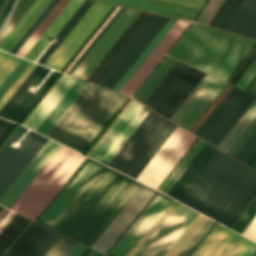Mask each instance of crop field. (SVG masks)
<instances>
[{
	"instance_id": "obj_1",
	"label": "crop field",
	"mask_w": 256,
	"mask_h": 256,
	"mask_svg": "<svg viewBox=\"0 0 256 256\" xmlns=\"http://www.w3.org/2000/svg\"><path fill=\"white\" fill-rule=\"evenodd\" d=\"M102 167L90 163V162ZM56 198V202L45 211L42 220L54 224L51 226L40 219L38 222L71 237L89 247L101 235L122 207L127 203L141 183L102 166L92 160ZM142 186V185H141Z\"/></svg>"
},
{
	"instance_id": "obj_2",
	"label": "crop field",
	"mask_w": 256,
	"mask_h": 256,
	"mask_svg": "<svg viewBox=\"0 0 256 256\" xmlns=\"http://www.w3.org/2000/svg\"><path fill=\"white\" fill-rule=\"evenodd\" d=\"M255 192L256 172L219 151L180 202L228 227Z\"/></svg>"
},
{
	"instance_id": "obj_3",
	"label": "crop field",
	"mask_w": 256,
	"mask_h": 256,
	"mask_svg": "<svg viewBox=\"0 0 256 256\" xmlns=\"http://www.w3.org/2000/svg\"><path fill=\"white\" fill-rule=\"evenodd\" d=\"M128 98L88 83L46 136L84 154Z\"/></svg>"
},
{
	"instance_id": "obj_4",
	"label": "crop field",
	"mask_w": 256,
	"mask_h": 256,
	"mask_svg": "<svg viewBox=\"0 0 256 256\" xmlns=\"http://www.w3.org/2000/svg\"><path fill=\"white\" fill-rule=\"evenodd\" d=\"M255 45L256 41L194 23L169 56L227 81Z\"/></svg>"
},
{
	"instance_id": "obj_5",
	"label": "crop field",
	"mask_w": 256,
	"mask_h": 256,
	"mask_svg": "<svg viewBox=\"0 0 256 256\" xmlns=\"http://www.w3.org/2000/svg\"><path fill=\"white\" fill-rule=\"evenodd\" d=\"M85 159L61 146L10 209L36 221Z\"/></svg>"
},
{
	"instance_id": "obj_6",
	"label": "crop field",
	"mask_w": 256,
	"mask_h": 256,
	"mask_svg": "<svg viewBox=\"0 0 256 256\" xmlns=\"http://www.w3.org/2000/svg\"><path fill=\"white\" fill-rule=\"evenodd\" d=\"M176 126L150 110L108 166L136 179Z\"/></svg>"
},
{
	"instance_id": "obj_7",
	"label": "crop field",
	"mask_w": 256,
	"mask_h": 256,
	"mask_svg": "<svg viewBox=\"0 0 256 256\" xmlns=\"http://www.w3.org/2000/svg\"><path fill=\"white\" fill-rule=\"evenodd\" d=\"M25 130L18 125L0 147V197L48 141L29 130L17 149L11 147V143L17 142Z\"/></svg>"
},
{
	"instance_id": "obj_8",
	"label": "crop field",
	"mask_w": 256,
	"mask_h": 256,
	"mask_svg": "<svg viewBox=\"0 0 256 256\" xmlns=\"http://www.w3.org/2000/svg\"><path fill=\"white\" fill-rule=\"evenodd\" d=\"M255 98L233 86L194 134L217 147Z\"/></svg>"
},
{
	"instance_id": "obj_9",
	"label": "crop field",
	"mask_w": 256,
	"mask_h": 256,
	"mask_svg": "<svg viewBox=\"0 0 256 256\" xmlns=\"http://www.w3.org/2000/svg\"><path fill=\"white\" fill-rule=\"evenodd\" d=\"M197 138L177 126L137 180L158 189Z\"/></svg>"
},
{
	"instance_id": "obj_10",
	"label": "crop field",
	"mask_w": 256,
	"mask_h": 256,
	"mask_svg": "<svg viewBox=\"0 0 256 256\" xmlns=\"http://www.w3.org/2000/svg\"><path fill=\"white\" fill-rule=\"evenodd\" d=\"M198 214L178 203L135 256H164Z\"/></svg>"
},
{
	"instance_id": "obj_11",
	"label": "crop field",
	"mask_w": 256,
	"mask_h": 256,
	"mask_svg": "<svg viewBox=\"0 0 256 256\" xmlns=\"http://www.w3.org/2000/svg\"><path fill=\"white\" fill-rule=\"evenodd\" d=\"M110 7V5L94 2L50 58L45 62L44 66L60 70Z\"/></svg>"
},
{
	"instance_id": "obj_12",
	"label": "crop field",
	"mask_w": 256,
	"mask_h": 256,
	"mask_svg": "<svg viewBox=\"0 0 256 256\" xmlns=\"http://www.w3.org/2000/svg\"><path fill=\"white\" fill-rule=\"evenodd\" d=\"M157 191L142 186L132 196L92 248L106 254Z\"/></svg>"
},
{
	"instance_id": "obj_13",
	"label": "crop field",
	"mask_w": 256,
	"mask_h": 256,
	"mask_svg": "<svg viewBox=\"0 0 256 256\" xmlns=\"http://www.w3.org/2000/svg\"><path fill=\"white\" fill-rule=\"evenodd\" d=\"M226 85L207 75L170 120L189 130Z\"/></svg>"
},
{
	"instance_id": "obj_14",
	"label": "crop field",
	"mask_w": 256,
	"mask_h": 256,
	"mask_svg": "<svg viewBox=\"0 0 256 256\" xmlns=\"http://www.w3.org/2000/svg\"><path fill=\"white\" fill-rule=\"evenodd\" d=\"M242 237L218 224L192 256H247L256 244Z\"/></svg>"
},
{
	"instance_id": "obj_15",
	"label": "crop field",
	"mask_w": 256,
	"mask_h": 256,
	"mask_svg": "<svg viewBox=\"0 0 256 256\" xmlns=\"http://www.w3.org/2000/svg\"><path fill=\"white\" fill-rule=\"evenodd\" d=\"M138 13L139 11L125 8L116 21L99 40V42L95 45V47L91 50V52L87 55V57L74 71L73 75L86 79L90 72L95 68L103 56L108 52L116 40L138 15Z\"/></svg>"
},
{
	"instance_id": "obj_16",
	"label": "crop field",
	"mask_w": 256,
	"mask_h": 256,
	"mask_svg": "<svg viewBox=\"0 0 256 256\" xmlns=\"http://www.w3.org/2000/svg\"><path fill=\"white\" fill-rule=\"evenodd\" d=\"M159 195L172 201V199L160 193ZM169 203L170 201L157 195L150 205L139 216V218L134 222V224L123 235V237L112 248L110 253L116 256H126L149 229V227L154 223V221L159 217V215L164 211V209L169 205ZM110 253H108V256H114Z\"/></svg>"
},
{
	"instance_id": "obj_17",
	"label": "crop field",
	"mask_w": 256,
	"mask_h": 256,
	"mask_svg": "<svg viewBox=\"0 0 256 256\" xmlns=\"http://www.w3.org/2000/svg\"><path fill=\"white\" fill-rule=\"evenodd\" d=\"M205 76L188 66L153 110L170 119Z\"/></svg>"
},
{
	"instance_id": "obj_18",
	"label": "crop field",
	"mask_w": 256,
	"mask_h": 256,
	"mask_svg": "<svg viewBox=\"0 0 256 256\" xmlns=\"http://www.w3.org/2000/svg\"><path fill=\"white\" fill-rule=\"evenodd\" d=\"M190 22L178 20L154 51L144 61L131 79L121 89L120 93L131 96L137 87L142 83L158 61L163 57L179 35L184 31Z\"/></svg>"
},
{
	"instance_id": "obj_19",
	"label": "crop field",
	"mask_w": 256,
	"mask_h": 256,
	"mask_svg": "<svg viewBox=\"0 0 256 256\" xmlns=\"http://www.w3.org/2000/svg\"><path fill=\"white\" fill-rule=\"evenodd\" d=\"M168 19V17L157 15L107 78L102 82L101 86L112 89Z\"/></svg>"
},
{
	"instance_id": "obj_20",
	"label": "crop field",
	"mask_w": 256,
	"mask_h": 256,
	"mask_svg": "<svg viewBox=\"0 0 256 256\" xmlns=\"http://www.w3.org/2000/svg\"><path fill=\"white\" fill-rule=\"evenodd\" d=\"M60 145L48 141L37 156L31 161L6 193L1 197L0 204L10 207L21 192L27 187L42 167L48 162L52 155L57 151Z\"/></svg>"
},
{
	"instance_id": "obj_21",
	"label": "crop field",
	"mask_w": 256,
	"mask_h": 256,
	"mask_svg": "<svg viewBox=\"0 0 256 256\" xmlns=\"http://www.w3.org/2000/svg\"><path fill=\"white\" fill-rule=\"evenodd\" d=\"M50 71L51 69L43 67L42 70L28 85V87L14 102V104L4 114L3 118L19 123L20 120L25 116V114L30 110L34 103L39 99V97L44 93V91L59 74V72L53 71L36 93L28 91L31 86L37 88Z\"/></svg>"
},
{
	"instance_id": "obj_22",
	"label": "crop field",
	"mask_w": 256,
	"mask_h": 256,
	"mask_svg": "<svg viewBox=\"0 0 256 256\" xmlns=\"http://www.w3.org/2000/svg\"><path fill=\"white\" fill-rule=\"evenodd\" d=\"M102 2L117 4L121 6L141 9L145 11L160 13L164 15L193 20L198 8L169 3L160 0H98Z\"/></svg>"
},
{
	"instance_id": "obj_23",
	"label": "crop field",
	"mask_w": 256,
	"mask_h": 256,
	"mask_svg": "<svg viewBox=\"0 0 256 256\" xmlns=\"http://www.w3.org/2000/svg\"><path fill=\"white\" fill-rule=\"evenodd\" d=\"M218 151L219 150L206 143L172 188L168 191L167 195L179 201Z\"/></svg>"
},
{
	"instance_id": "obj_24",
	"label": "crop field",
	"mask_w": 256,
	"mask_h": 256,
	"mask_svg": "<svg viewBox=\"0 0 256 256\" xmlns=\"http://www.w3.org/2000/svg\"><path fill=\"white\" fill-rule=\"evenodd\" d=\"M142 107L143 105L132 100L94 150L90 153L89 157L100 162L136 117Z\"/></svg>"
},
{
	"instance_id": "obj_25",
	"label": "crop field",
	"mask_w": 256,
	"mask_h": 256,
	"mask_svg": "<svg viewBox=\"0 0 256 256\" xmlns=\"http://www.w3.org/2000/svg\"><path fill=\"white\" fill-rule=\"evenodd\" d=\"M75 80L76 78L63 74L22 125L35 131Z\"/></svg>"
},
{
	"instance_id": "obj_26",
	"label": "crop field",
	"mask_w": 256,
	"mask_h": 256,
	"mask_svg": "<svg viewBox=\"0 0 256 256\" xmlns=\"http://www.w3.org/2000/svg\"><path fill=\"white\" fill-rule=\"evenodd\" d=\"M224 30L256 39V0H243Z\"/></svg>"
},
{
	"instance_id": "obj_27",
	"label": "crop field",
	"mask_w": 256,
	"mask_h": 256,
	"mask_svg": "<svg viewBox=\"0 0 256 256\" xmlns=\"http://www.w3.org/2000/svg\"><path fill=\"white\" fill-rule=\"evenodd\" d=\"M83 1L84 0H71L63 9V11L58 15V17L54 20V22L49 26V28L44 32V34L40 37V39L35 43L31 50L26 54L25 58L35 61L50 43L49 41H47L50 36L54 37L56 35V33L72 16V14L77 10V8L82 4Z\"/></svg>"
},
{
	"instance_id": "obj_28",
	"label": "crop field",
	"mask_w": 256,
	"mask_h": 256,
	"mask_svg": "<svg viewBox=\"0 0 256 256\" xmlns=\"http://www.w3.org/2000/svg\"><path fill=\"white\" fill-rule=\"evenodd\" d=\"M50 1L51 0H37L0 44V49L9 52L45 7L50 3Z\"/></svg>"
},
{
	"instance_id": "obj_29",
	"label": "crop field",
	"mask_w": 256,
	"mask_h": 256,
	"mask_svg": "<svg viewBox=\"0 0 256 256\" xmlns=\"http://www.w3.org/2000/svg\"><path fill=\"white\" fill-rule=\"evenodd\" d=\"M47 228L31 221L3 256H26Z\"/></svg>"
},
{
	"instance_id": "obj_30",
	"label": "crop field",
	"mask_w": 256,
	"mask_h": 256,
	"mask_svg": "<svg viewBox=\"0 0 256 256\" xmlns=\"http://www.w3.org/2000/svg\"><path fill=\"white\" fill-rule=\"evenodd\" d=\"M186 67L187 65L176 61L142 103L153 109Z\"/></svg>"
},
{
	"instance_id": "obj_31",
	"label": "crop field",
	"mask_w": 256,
	"mask_h": 256,
	"mask_svg": "<svg viewBox=\"0 0 256 256\" xmlns=\"http://www.w3.org/2000/svg\"><path fill=\"white\" fill-rule=\"evenodd\" d=\"M176 19L170 18L169 21L164 25L160 32L155 36L151 43L146 47L142 54L137 58V60L132 64L128 71L123 75L119 82L114 86L113 90L119 92L120 89L125 85V83L130 79L134 72L139 68L143 61L148 57V55L153 51L157 44L162 40L166 33L171 29V27L176 23Z\"/></svg>"
},
{
	"instance_id": "obj_32",
	"label": "crop field",
	"mask_w": 256,
	"mask_h": 256,
	"mask_svg": "<svg viewBox=\"0 0 256 256\" xmlns=\"http://www.w3.org/2000/svg\"><path fill=\"white\" fill-rule=\"evenodd\" d=\"M155 14L149 13L148 16L143 20L135 32L130 36L122 48L117 52L113 59L108 63L100 75L95 79L94 83L100 85L101 82L106 78L110 71L115 67L119 60L124 56L132 44L137 40L141 33L146 29L150 22L155 18Z\"/></svg>"
},
{
	"instance_id": "obj_33",
	"label": "crop field",
	"mask_w": 256,
	"mask_h": 256,
	"mask_svg": "<svg viewBox=\"0 0 256 256\" xmlns=\"http://www.w3.org/2000/svg\"><path fill=\"white\" fill-rule=\"evenodd\" d=\"M147 14L148 13L145 12L139 13V15L130 24V26L126 29V31L122 34L118 41L113 45V47L109 50V52L105 55V57L101 60L97 67L88 76V78L86 79L87 81H94V79L99 75V73L103 70L107 63L112 59V57L116 54L120 47L129 38V36L134 32V30L138 27L142 20L147 16Z\"/></svg>"
},
{
	"instance_id": "obj_34",
	"label": "crop field",
	"mask_w": 256,
	"mask_h": 256,
	"mask_svg": "<svg viewBox=\"0 0 256 256\" xmlns=\"http://www.w3.org/2000/svg\"><path fill=\"white\" fill-rule=\"evenodd\" d=\"M255 117L256 100L252 103V105L248 108L240 120L235 124V126L231 129L223 141L219 144L218 148L227 152Z\"/></svg>"
},
{
	"instance_id": "obj_35",
	"label": "crop field",
	"mask_w": 256,
	"mask_h": 256,
	"mask_svg": "<svg viewBox=\"0 0 256 256\" xmlns=\"http://www.w3.org/2000/svg\"><path fill=\"white\" fill-rule=\"evenodd\" d=\"M70 0H59L54 8L49 12L45 19L40 23L36 30L31 34L23 46L18 50L16 55L24 57L29 51L36 40L41 36V34L46 30V28L51 24V22L56 18V16L61 12V10L66 6Z\"/></svg>"
},
{
	"instance_id": "obj_36",
	"label": "crop field",
	"mask_w": 256,
	"mask_h": 256,
	"mask_svg": "<svg viewBox=\"0 0 256 256\" xmlns=\"http://www.w3.org/2000/svg\"><path fill=\"white\" fill-rule=\"evenodd\" d=\"M92 1L85 0L84 3L79 7V9L75 12V14L70 18V20L66 23V25L62 28V30L57 34L56 42L54 44H50V46L46 49V51L42 54V56L38 59L37 63L43 65L44 62L48 59V57L53 53V51L57 48V46L61 43V41L66 37V35L70 32V30L74 27V25L79 21V19L83 16V14L87 11V9L92 5Z\"/></svg>"
},
{
	"instance_id": "obj_37",
	"label": "crop field",
	"mask_w": 256,
	"mask_h": 256,
	"mask_svg": "<svg viewBox=\"0 0 256 256\" xmlns=\"http://www.w3.org/2000/svg\"><path fill=\"white\" fill-rule=\"evenodd\" d=\"M241 1L242 0H224L209 25L224 29Z\"/></svg>"
},
{
	"instance_id": "obj_38",
	"label": "crop field",
	"mask_w": 256,
	"mask_h": 256,
	"mask_svg": "<svg viewBox=\"0 0 256 256\" xmlns=\"http://www.w3.org/2000/svg\"><path fill=\"white\" fill-rule=\"evenodd\" d=\"M36 0H19L17 6L0 32V43L8 35V33L13 29V27L18 23L22 16L27 12V10L32 6Z\"/></svg>"
},
{
	"instance_id": "obj_39",
	"label": "crop field",
	"mask_w": 256,
	"mask_h": 256,
	"mask_svg": "<svg viewBox=\"0 0 256 256\" xmlns=\"http://www.w3.org/2000/svg\"><path fill=\"white\" fill-rule=\"evenodd\" d=\"M27 219L15 214L9 223L0 232V253L26 223Z\"/></svg>"
},
{
	"instance_id": "obj_40",
	"label": "crop field",
	"mask_w": 256,
	"mask_h": 256,
	"mask_svg": "<svg viewBox=\"0 0 256 256\" xmlns=\"http://www.w3.org/2000/svg\"><path fill=\"white\" fill-rule=\"evenodd\" d=\"M175 60L167 57L162 65L157 69L145 86L136 95L135 99L143 101V99L148 95V93L153 89V87L158 83V81L163 77V75L168 71V69L173 65Z\"/></svg>"
},
{
	"instance_id": "obj_41",
	"label": "crop field",
	"mask_w": 256,
	"mask_h": 256,
	"mask_svg": "<svg viewBox=\"0 0 256 256\" xmlns=\"http://www.w3.org/2000/svg\"><path fill=\"white\" fill-rule=\"evenodd\" d=\"M146 111H149L147 107L144 106ZM141 110V112L138 114V116L134 119V121L130 124V126L127 128V130L123 133V135L120 137V139L116 142V144L113 146V148L109 151V153L106 155L104 160L110 161V159L114 156V154L118 151V149L122 146V144L126 141V139L130 136V134L134 131V129L137 127V125L141 122V120L145 117V115L148 113L145 110ZM102 163L107 165V162L102 161Z\"/></svg>"
},
{
	"instance_id": "obj_42",
	"label": "crop field",
	"mask_w": 256,
	"mask_h": 256,
	"mask_svg": "<svg viewBox=\"0 0 256 256\" xmlns=\"http://www.w3.org/2000/svg\"><path fill=\"white\" fill-rule=\"evenodd\" d=\"M205 142L199 141V143L195 146V148L191 151V153L187 156V158L183 161V163L178 167V169L174 172V174L170 177V179L166 182V184L162 187L160 191L163 193H167V191L171 188L174 182L178 179V177L182 174L185 168L189 165V163L193 160V158L197 155L200 149L204 146Z\"/></svg>"
},
{
	"instance_id": "obj_43",
	"label": "crop field",
	"mask_w": 256,
	"mask_h": 256,
	"mask_svg": "<svg viewBox=\"0 0 256 256\" xmlns=\"http://www.w3.org/2000/svg\"><path fill=\"white\" fill-rule=\"evenodd\" d=\"M76 242L60 235L43 256H66Z\"/></svg>"
},
{
	"instance_id": "obj_44",
	"label": "crop field",
	"mask_w": 256,
	"mask_h": 256,
	"mask_svg": "<svg viewBox=\"0 0 256 256\" xmlns=\"http://www.w3.org/2000/svg\"><path fill=\"white\" fill-rule=\"evenodd\" d=\"M256 157V132L251 136V138L246 142V144L241 148V150L236 154L234 158L240 160L246 165L250 163Z\"/></svg>"
},
{
	"instance_id": "obj_45",
	"label": "crop field",
	"mask_w": 256,
	"mask_h": 256,
	"mask_svg": "<svg viewBox=\"0 0 256 256\" xmlns=\"http://www.w3.org/2000/svg\"><path fill=\"white\" fill-rule=\"evenodd\" d=\"M58 236L59 234L48 229L27 256H42Z\"/></svg>"
},
{
	"instance_id": "obj_46",
	"label": "crop field",
	"mask_w": 256,
	"mask_h": 256,
	"mask_svg": "<svg viewBox=\"0 0 256 256\" xmlns=\"http://www.w3.org/2000/svg\"><path fill=\"white\" fill-rule=\"evenodd\" d=\"M214 224L215 222L208 219L178 256H188L198 245V243L203 239V237L208 233V231L213 227Z\"/></svg>"
},
{
	"instance_id": "obj_47",
	"label": "crop field",
	"mask_w": 256,
	"mask_h": 256,
	"mask_svg": "<svg viewBox=\"0 0 256 256\" xmlns=\"http://www.w3.org/2000/svg\"><path fill=\"white\" fill-rule=\"evenodd\" d=\"M30 61L21 59L12 72L7 76V78L0 85V98L5 94L9 87L14 83V81L19 77V75L24 71V69L29 65Z\"/></svg>"
},
{
	"instance_id": "obj_48",
	"label": "crop field",
	"mask_w": 256,
	"mask_h": 256,
	"mask_svg": "<svg viewBox=\"0 0 256 256\" xmlns=\"http://www.w3.org/2000/svg\"><path fill=\"white\" fill-rule=\"evenodd\" d=\"M20 58L0 51V84L19 62Z\"/></svg>"
},
{
	"instance_id": "obj_49",
	"label": "crop field",
	"mask_w": 256,
	"mask_h": 256,
	"mask_svg": "<svg viewBox=\"0 0 256 256\" xmlns=\"http://www.w3.org/2000/svg\"><path fill=\"white\" fill-rule=\"evenodd\" d=\"M222 2L223 0H209L200 15L198 16L196 22L208 25Z\"/></svg>"
},
{
	"instance_id": "obj_50",
	"label": "crop field",
	"mask_w": 256,
	"mask_h": 256,
	"mask_svg": "<svg viewBox=\"0 0 256 256\" xmlns=\"http://www.w3.org/2000/svg\"><path fill=\"white\" fill-rule=\"evenodd\" d=\"M42 66L37 65L36 68L31 72V74L26 78L22 85L17 89V91L12 95L8 102L0 110V117L8 110V108L13 104L17 97L22 93V91L27 87L31 80L36 76V74L41 70ZM23 88V89H21Z\"/></svg>"
},
{
	"instance_id": "obj_51",
	"label": "crop field",
	"mask_w": 256,
	"mask_h": 256,
	"mask_svg": "<svg viewBox=\"0 0 256 256\" xmlns=\"http://www.w3.org/2000/svg\"><path fill=\"white\" fill-rule=\"evenodd\" d=\"M178 202L172 201V203L167 207V209L162 213V215L157 219L153 226L148 230V232L143 236L139 243L134 247V249L129 253L128 256H133L138 249L143 245L147 238L152 234V232L157 228V226L162 222V220L170 213V211L175 207Z\"/></svg>"
},
{
	"instance_id": "obj_52",
	"label": "crop field",
	"mask_w": 256,
	"mask_h": 256,
	"mask_svg": "<svg viewBox=\"0 0 256 256\" xmlns=\"http://www.w3.org/2000/svg\"><path fill=\"white\" fill-rule=\"evenodd\" d=\"M256 130V118L253 122L248 126V128L243 132V134L239 137V139L234 143V145L229 149L227 153L231 156H235V154L240 150V148L245 144V142L250 138V136Z\"/></svg>"
},
{
	"instance_id": "obj_53",
	"label": "crop field",
	"mask_w": 256,
	"mask_h": 256,
	"mask_svg": "<svg viewBox=\"0 0 256 256\" xmlns=\"http://www.w3.org/2000/svg\"><path fill=\"white\" fill-rule=\"evenodd\" d=\"M36 64L30 63V65L25 69V71L20 75V77L15 81L11 88L6 92V94L0 100V109L11 97V95L16 91V89L21 85L25 78L30 74V72L35 68Z\"/></svg>"
},
{
	"instance_id": "obj_54",
	"label": "crop field",
	"mask_w": 256,
	"mask_h": 256,
	"mask_svg": "<svg viewBox=\"0 0 256 256\" xmlns=\"http://www.w3.org/2000/svg\"><path fill=\"white\" fill-rule=\"evenodd\" d=\"M58 0H53L49 6L45 9V11L41 14V16L36 20V22L32 25V27L27 31V33L23 36V38L19 41V43L14 47V49L10 52L15 54L16 51L21 47V45L25 42V40L30 36V34L34 31V29L38 26V24L43 20V18L47 15V13L52 9V7L56 4ZM58 3V2H57ZM54 8V7H53ZM49 14V13H48ZM45 19V18H44ZM36 30V29H35ZM27 41V40H26ZM23 46V45H22ZM18 52V51H17Z\"/></svg>"
},
{
	"instance_id": "obj_55",
	"label": "crop field",
	"mask_w": 256,
	"mask_h": 256,
	"mask_svg": "<svg viewBox=\"0 0 256 256\" xmlns=\"http://www.w3.org/2000/svg\"><path fill=\"white\" fill-rule=\"evenodd\" d=\"M255 74H256V59L245 71V73L240 77V79L236 82L235 86L244 89L245 86L250 82V80L254 77Z\"/></svg>"
},
{
	"instance_id": "obj_56",
	"label": "crop field",
	"mask_w": 256,
	"mask_h": 256,
	"mask_svg": "<svg viewBox=\"0 0 256 256\" xmlns=\"http://www.w3.org/2000/svg\"><path fill=\"white\" fill-rule=\"evenodd\" d=\"M256 215V201L253 204V206L250 208V210L247 212V214L244 216V218L241 220V222L238 224V226L235 228V231L239 233H243V231L246 229V227L249 225V223L252 221V219Z\"/></svg>"
},
{
	"instance_id": "obj_57",
	"label": "crop field",
	"mask_w": 256,
	"mask_h": 256,
	"mask_svg": "<svg viewBox=\"0 0 256 256\" xmlns=\"http://www.w3.org/2000/svg\"><path fill=\"white\" fill-rule=\"evenodd\" d=\"M256 58V48L251 53V55L247 58V60L242 64V66L238 69V71L234 74V76L230 79L229 83L235 84V82L239 79V77L244 73V71L248 68V66L252 63V61Z\"/></svg>"
},
{
	"instance_id": "obj_58",
	"label": "crop field",
	"mask_w": 256,
	"mask_h": 256,
	"mask_svg": "<svg viewBox=\"0 0 256 256\" xmlns=\"http://www.w3.org/2000/svg\"><path fill=\"white\" fill-rule=\"evenodd\" d=\"M242 235L256 242V217L253 219V221L250 223V225L247 227Z\"/></svg>"
},
{
	"instance_id": "obj_59",
	"label": "crop field",
	"mask_w": 256,
	"mask_h": 256,
	"mask_svg": "<svg viewBox=\"0 0 256 256\" xmlns=\"http://www.w3.org/2000/svg\"><path fill=\"white\" fill-rule=\"evenodd\" d=\"M165 1L189 5V6L198 7V8H201L203 3L205 2V0H165Z\"/></svg>"
},
{
	"instance_id": "obj_60",
	"label": "crop field",
	"mask_w": 256,
	"mask_h": 256,
	"mask_svg": "<svg viewBox=\"0 0 256 256\" xmlns=\"http://www.w3.org/2000/svg\"><path fill=\"white\" fill-rule=\"evenodd\" d=\"M8 212H9V210H7V209H5V208L2 209V211L0 212V222L4 219V217L8 214ZM10 213H11V211L9 212V214H10ZM9 214L5 217V219L9 216ZM14 214H15V213L12 212V213L10 214V216H9L6 220L4 219V220H5L4 223H3L4 220L1 222V224H2V223H3V224H2V225L0 224V225H1V226H0V231H1V230L3 229V227L8 223V221L13 217Z\"/></svg>"
},
{
	"instance_id": "obj_61",
	"label": "crop field",
	"mask_w": 256,
	"mask_h": 256,
	"mask_svg": "<svg viewBox=\"0 0 256 256\" xmlns=\"http://www.w3.org/2000/svg\"><path fill=\"white\" fill-rule=\"evenodd\" d=\"M15 123L9 122L8 125L0 133V143L5 139V137L10 133V131L15 127Z\"/></svg>"
},
{
	"instance_id": "obj_62",
	"label": "crop field",
	"mask_w": 256,
	"mask_h": 256,
	"mask_svg": "<svg viewBox=\"0 0 256 256\" xmlns=\"http://www.w3.org/2000/svg\"><path fill=\"white\" fill-rule=\"evenodd\" d=\"M255 200H256V195L251 200V202L247 205V207L244 209V211L241 213V215L238 217L235 223L232 225L231 229L234 230V228L237 226V224L240 222V220L243 218V216L246 214V212L249 210V208L251 207V205L254 203Z\"/></svg>"
},
{
	"instance_id": "obj_63",
	"label": "crop field",
	"mask_w": 256,
	"mask_h": 256,
	"mask_svg": "<svg viewBox=\"0 0 256 256\" xmlns=\"http://www.w3.org/2000/svg\"><path fill=\"white\" fill-rule=\"evenodd\" d=\"M84 248L85 246L77 243L67 256H79V254L84 250Z\"/></svg>"
},
{
	"instance_id": "obj_64",
	"label": "crop field",
	"mask_w": 256,
	"mask_h": 256,
	"mask_svg": "<svg viewBox=\"0 0 256 256\" xmlns=\"http://www.w3.org/2000/svg\"><path fill=\"white\" fill-rule=\"evenodd\" d=\"M124 8L117 14V16L113 19V21L108 25V27L104 30V32L100 35V37L96 40V42L92 45V47L88 50V52L84 55V57L79 61V63L75 66V68L71 71L72 72L76 69V67L81 63V61L85 58V56L89 53V51L93 48V46L97 43V41L102 37V35L106 32V30L110 27V25L114 22V20L119 16V14L123 11Z\"/></svg>"
},
{
	"instance_id": "obj_65",
	"label": "crop field",
	"mask_w": 256,
	"mask_h": 256,
	"mask_svg": "<svg viewBox=\"0 0 256 256\" xmlns=\"http://www.w3.org/2000/svg\"><path fill=\"white\" fill-rule=\"evenodd\" d=\"M14 0H9L4 11L2 12V14L0 15V26L5 18V16L7 15L8 11L10 10L12 4H13Z\"/></svg>"
},
{
	"instance_id": "obj_66",
	"label": "crop field",
	"mask_w": 256,
	"mask_h": 256,
	"mask_svg": "<svg viewBox=\"0 0 256 256\" xmlns=\"http://www.w3.org/2000/svg\"><path fill=\"white\" fill-rule=\"evenodd\" d=\"M245 90L255 94L256 93V75L251 82L246 86Z\"/></svg>"
},
{
	"instance_id": "obj_67",
	"label": "crop field",
	"mask_w": 256,
	"mask_h": 256,
	"mask_svg": "<svg viewBox=\"0 0 256 256\" xmlns=\"http://www.w3.org/2000/svg\"><path fill=\"white\" fill-rule=\"evenodd\" d=\"M8 121L0 119V132L7 125Z\"/></svg>"
},
{
	"instance_id": "obj_68",
	"label": "crop field",
	"mask_w": 256,
	"mask_h": 256,
	"mask_svg": "<svg viewBox=\"0 0 256 256\" xmlns=\"http://www.w3.org/2000/svg\"><path fill=\"white\" fill-rule=\"evenodd\" d=\"M91 249H89V248H85V250L80 254V256H86L87 255V253L90 251Z\"/></svg>"
},
{
	"instance_id": "obj_69",
	"label": "crop field",
	"mask_w": 256,
	"mask_h": 256,
	"mask_svg": "<svg viewBox=\"0 0 256 256\" xmlns=\"http://www.w3.org/2000/svg\"><path fill=\"white\" fill-rule=\"evenodd\" d=\"M248 256H256V246L255 248L250 252Z\"/></svg>"
},
{
	"instance_id": "obj_70",
	"label": "crop field",
	"mask_w": 256,
	"mask_h": 256,
	"mask_svg": "<svg viewBox=\"0 0 256 256\" xmlns=\"http://www.w3.org/2000/svg\"><path fill=\"white\" fill-rule=\"evenodd\" d=\"M88 254V253H87ZM98 253L94 252V251H90L89 254L87 256H96Z\"/></svg>"
},
{
	"instance_id": "obj_71",
	"label": "crop field",
	"mask_w": 256,
	"mask_h": 256,
	"mask_svg": "<svg viewBox=\"0 0 256 256\" xmlns=\"http://www.w3.org/2000/svg\"><path fill=\"white\" fill-rule=\"evenodd\" d=\"M250 167L256 170V160L253 162V164Z\"/></svg>"
},
{
	"instance_id": "obj_72",
	"label": "crop field",
	"mask_w": 256,
	"mask_h": 256,
	"mask_svg": "<svg viewBox=\"0 0 256 256\" xmlns=\"http://www.w3.org/2000/svg\"><path fill=\"white\" fill-rule=\"evenodd\" d=\"M2 2H3V0H0V6H1Z\"/></svg>"
},
{
	"instance_id": "obj_73",
	"label": "crop field",
	"mask_w": 256,
	"mask_h": 256,
	"mask_svg": "<svg viewBox=\"0 0 256 256\" xmlns=\"http://www.w3.org/2000/svg\"><path fill=\"white\" fill-rule=\"evenodd\" d=\"M2 207H0V211H1Z\"/></svg>"
},
{
	"instance_id": "obj_74",
	"label": "crop field",
	"mask_w": 256,
	"mask_h": 256,
	"mask_svg": "<svg viewBox=\"0 0 256 256\" xmlns=\"http://www.w3.org/2000/svg\"><path fill=\"white\" fill-rule=\"evenodd\" d=\"M100 256H104V255L101 254Z\"/></svg>"
}]
</instances>
